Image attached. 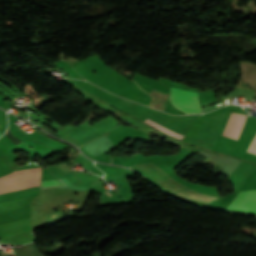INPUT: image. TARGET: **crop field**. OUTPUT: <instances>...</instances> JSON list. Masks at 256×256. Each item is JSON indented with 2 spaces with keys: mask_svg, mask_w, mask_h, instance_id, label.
Returning <instances> with one entry per match:
<instances>
[{
  "mask_svg": "<svg viewBox=\"0 0 256 256\" xmlns=\"http://www.w3.org/2000/svg\"><path fill=\"white\" fill-rule=\"evenodd\" d=\"M170 101L186 114L199 113L198 93L170 88Z\"/></svg>",
  "mask_w": 256,
  "mask_h": 256,
  "instance_id": "obj_1",
  "label": "crop field"
},
{
  "mask_svg": "<svg viewBox=\"0 0 256 256\" xmlns=\"http://www.w3.org/2000/svg\"><path fill=\"white\" fill-rule=\"evenodd\" d=\"M134 167L140 170L141 172L145 173L146 175H148L160 186H162L164 189L172 193L182 189H188L178 184L177 182H175L174 180H172L171 178H169L168 176H166L165 174H163L162 172H160L159 170H157L156 168H154L148 163L140 164Z\"/></svg>",
  "mask_w": 256,
  "mask_h": 256,
  "instance_id": "obj_2",
  "label": "crop field"
},
{
  "mask_svg": "<svg viewBox=\"0 0 256 256\" xmlns=\"http://www.w3.org/2000/svg\"><path fill=\"white\" fill-rule=\"evenodd\" d=\"M255 196L256 190L241 192L228 208L245 211ZM246 211L256 213V198Z\"/></svg>",
  "mask_w": 256,
  "mask_h": 256,
  "instance_id": "obj_3",
  "label": "crop field"
},
{
  "mask_svg": "<svg viewBox=\"0 0 256 256\" xmlns=\"http://www.w3.org/2000/svg\"><path fill=\"white\" fill-rule=\"evenodd\" d=\"M245 118V115L231 113L223 132V136L236 140L241 131Z\"/></svg>",
  "mask_w": 256,
  "mask_h": 256,
  "instance_id": "obj_4",
  "label": "crop field"
},
{
  "mask_svg": "<svg viewBox=\"0 0 256 256\" xmlns=\"http://www.w3.org/2000/svg\"><path fill=\"white\" fill-rule=\"evenodd\" d=\"M175 194L186 200L205 204V205H207L210 201L219 198V197L211 196V195L193 191V190L179 191Z\"/></svg>",
  "mask_w": 256,
  "mask_h": 256,
  "instance_id": "obj_5",
  "label": "crop field"
},
{
  "mask_svg": "<svg viewBox=\"0 0 256 256\" xmlns=\"http://www.w3.org/2000/svg\"><path fill=\"white\" fill-rule=\"evenodd\" d=\"M14 251L17 256H41L37 252L34 243L26 244L24 246H15Z\"/></svg>",
  "mask_w": 256,
  "mask_h": 256,
  "instance_id": "obj_6",
  "label": "crop field"
},
{
  "mask_svg": "<svg viewBox=\"0 0 256 256\" xmlns=\"http://www.w3.org/2000/svg\"><path fill=\"white\" fill-rule=\"evenodd\" d=\"M145 122H147L148 124H150V125H152V126L158 128V129L162 130L163 132H165V133H167V134H169V135H171V136H173V137H175V138L181 139V137H182V135H180V134H178V133H175V132H173V131H170V130H168V129H166V128H163L164 126L161 127V126H159V125H157V124L151 122V121L148 120V119L145 120ZM182 138H183V137H182Z\"/></svg>",
  "mask_w": 256,
  "mask_h": 256,
  "instance_id": "obj_7",
  "label": "crop field"
},
{
  "mask_svg": "<svg viewBox=\"0 0 256 256\" xmlns=\"http://www.w3.org/2000/svg\"><path fill=\"white\" fill-rule=\"evenodd\" d=\"M49 187H62L55 179L42 182L41 190Z\"/></svg>",
  "mask_w": 256,
  "mask_h": 256,
  "instance_id": "obj_8",
  "label": "crop field"
},
{
  "mask_svg": "<svg viewBox=\"0 0 256 256\" xmlns=\"http://www.w3.org/2000/svg\"><path fill=\"white\" fill-rule=\"evenodd\" d=\"M248 152L256 154V136L254 137V139L252 141V144H251V146L248 149Z\"/></svg>",
  "mask_w": 256,
  "mask_h": 256,
  "instance_id": "obj_9",
  "label": "crop field"
},
{
  "mask_svg": "<svg viewBox=\"0 0 256 256\" xmlns=\"http://www.w3.org/2000/svg\"><path fill=\"white\" fill-rule=\"evenodd\" d=\"M104 193H106V194H108V195H110V196L112 195V194H110V193H108V192H106V191H105Z\"/></svg>",
  "mask_w": 256,
  "mask_h": 256,
  "instance_id": "obj_10",
  "label": "crop field"
},
{
  "mask_svg": "<svg viewBox=\"0 0 256 256\" xmlns=\"http://www.w3.org/2000/svg\"><path fill=\"white\" fill-rule=\"evenodd\" d=\"M62 179V178H61ZM63 180V179H62ZM64 181V180H63ZM65 182V181H64ZM66 183V182H65ZM69 187H71L68 183H66Z\"/></svg>",
  "mask_w": 256,
  "mask_h": 256,
  "instance_id": "obj_11",
  "label": "crop field"
}]
</instances>
